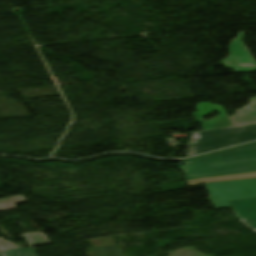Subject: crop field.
Listing matches in <instances>:
<instances>
[{
  "instance_id": "f4fd0767",
  "label": "crop field",
  "mask_w": 256,
  "mask_h": 256,
  "mask_svg": "<svg viewBox=\"0 0 256 256\" xmlns=\"http://www.w3.org/2000/svg\"><path fill=\"white\" fill-rule=\"evenodd\" d=\"M243 34V32H240L237 39L231 42L230 57H227L225 61H221V64L226 67H233L236 72L255 71L256 63L252 60L249 52L241 41Z\"/></svg>"
},
{
  "instance_id": "28ad6ade",
  "label": "crop field",
  "mask_w": 256,
  "mask_h": 256,
  "mask_svg": "<svg viewBox=\"0 0 256 256\" xmlns=\"http://www.w3.org/2000/svg\"><path fill=\"white\" fill-rule=\"evenodd\" d=\"M35 235H37L42 240L43 243H41L33 234H24L21 236L26 240V242L29 244V246L49 244L46 237L42 236V233H35Z\"/></svg>"
},
{
  "instance_id": "ac0d7876",
  "label": "crop field",
  "mask_w": 256,
  "mask_h": 256,
  "mask_svg": "<svg viewBox=\"0 0 256 256\" xmlns=\"http://www.w3.org/2000/svg\"><path fill=\"white\" fill-rule=\"evenodd\" d=\"M227 129L198 133L201 138L190 141L187 157L256 139V125Z\"/></svg>"
},
{
  "instance_id": "cbeb9de0",
  "label": "crop field",
  "mask_w": 256,
  "mask_h": 256,
  "mask_svg": "<svg viewBox=\"0 0 256 256\" xmlns=\"http://www.w3.org/2000/svg\"><path fill=\"white\" fill-rule=\"evenodd\" d=\"M0 256H3L1 252H0Z\"/></svg>"
},
{
  "instance_id": "34b2d1b8",
  "label": "crop field",
  "mask_w": 256,
  "mask_h": 256,
  "mask_svg": "<svg viewBox=\"0 0 256 256\" xmlns=\"http://www.w3.org/2000/svg\"><path fill=\"white\" fill-rule=\"evenodd\" d=\"M196 108L198 112L193 113L196 121L200 122L203 131L215 130L224 127L240 126L256 123V97L250 98V104L237 110V115L227 118L220 105H213L208 103L197 104ZM218 111L220 116L203 121L201 116Z\"/></svg>"
},
{
  "instance_id": "dd49c442",
  "label": "crop field",
  "mask_w": 256,
  "mask_h": 256,
  "mask_svg": "<svg viewBox=\"0 0 256 256\" xmlns=\"http://www.w3.org/2000/svg\"><path fill=\"white\" fill-rule=\"evenodd\" d=\"M102 238L90 240L94 249H90L88 256H125L120 245L115 246L114 238Z\"/></svg>"
},
{
  "instance_id": "5142ce71",
  "label": "crop field",
  "mask_w": 256,
  "mask_h": 256,
  "mask_svg": "<svg viewBox=\"0 0 256 256\" xmlns=\"http://www.w3.org/2000/svg\"><path fill=\"white\" fill-rule=\"evenodd\" d=\"M0 211H2L1 207H0Z\"/></svg>"
},
{
  "instance_id": "d8731c3e",
  "label": "crop field",
  "mask_w": 256,
  "mask_h": 256,
  "mask_svg": "<svg viewBox=\"0 0 256 256\" xmlns=\"http://www.w3.org/2000/svg\"><path fill=\"white\" fill-rule=\"evenodd\" d=\"M252 177H256V173L219 176V177H210V178H201V179H191V180H187V182H188L189 186L191 187V186L203 184L205 182L242 179V178H252Z\"/></svg>"
},
{
  "instance_id": "3316defc",
  "label": "crop field",
  "mask_w": 256,
  "mask_h": 256,
  "mask_svg": "<svg viewBox=\"0 0 256 256\" xmlns=\"http://www.w3.org/2000/svg\"><path fill=\"white\" fill-rule=\"evenodd\" d=\"M4 256H37L32 247L2 251Z\"/></svg>"
},
{
  "instance_id": "8a807250",
  "label": "crop field",
  "mask_w": 256,
  "mask_h": 256,
  "mask_svg": "<svg viewBox=\"0 0 256 256\" xmlns=\"http://www.w3.org/2000/svg\"><path fill=\"white\" fill-rule=\"evenodd\" d=\"M187 179L256 172V143L183 162Z\"/></svg>"
},
{
  "instance_id": "d1516ede",
  "label": "crop field",
  "mask_w": 256,
  "mask_h": 256,
  "mask_svg": "<svg viewBox=\"0 0 256 256\" xmlns=\"http://www.w3.org/2000/svg\"><path fill=\"white\" fill-rule=\"evenodd\" d=\"M18 248L15 244L9 243L4 239L0 238V250Z\"/></svg>"
},
{
  "instance_id": "e52e79f7",
  "label": "crop field",
  "mask_w": 256,
  "mask_h": 256,
  "mask_svg": "<svg viewBox=\"0 0 256 256\" xmlns=\"http://www.w3.org/2000/svg\"><path fill=\"white\" fill-rule=\"evenodd\" d=\"M237 217L241 219L256 218V199L230 202Z\"/></svg>"
},
{
  "instance_id": "412701ff",
  "label": "crop field",
  "mask_w": 256,
  "mask_h": 256,
  "mask_svg": "<svg viewBox=\"0 0 256 256\" xmlns=\"http://www.w3.org/2000/svg\"><path fill=\"white\" fill-rule=\"evenodd\" d=\"M219 209L231 207L229 201L256 198V178L207 183Z\"/></svg>"
},
{
  "instance_id": "22f410ed",
  "label": "crop field",
  "mask_w": 256,
  "mask_h": 256,
  "mask_svg": "<svg viewBox=\"0 0 256 256\" xmlns=\"http://www.w3.org/2000/svg\"><path fill=\"white\" fill-rule=\"evenodd\" d=\"M252 221L256 223V219H253ZM249 226H251V227H253V228H255V229H256V224L249 225Z\"/></svg>"
},
{
  "instance_id": "5a996713",
  "label": "crop field",
  "mask_w": 256,
  "mask_h": 256,
  "mask_svg": "<svg viewBox=\"0 0 256 256\" xmlns=\"http://www.w3.org/2000/svg\"><path fill=\"white\" fill-rule=\"evenodd\" d=\"M27 200L22 196H14L9 198L0 199V206L2 207L3 211L13 210L16 209L14 204L26 202Z\"/></svg>"
}]
</instances>
